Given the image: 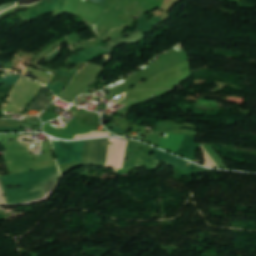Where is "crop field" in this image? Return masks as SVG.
Listing matches in <instances>:
<instances>
[{"mask_svg":"<svg viewBox=\"0 0 256 256\" xmlns=\"http://www.w3.org/2000/svg\"><path fill=\"white\" fill-rule=\"evenodd\" d=\"M20 128H0V132H19Z\"/></svg>","mask_w":256,"mask_h":256,"instance_id":"12","label":"crop field"},{"mask_svg":"<svg viewBox=\"0 0 256 256\" xmlns=\"http://www.w3.org/2000/svg\"><path fill=\"white\" fill-rule=\"evenodd\" d=\"M60 49H58L55 53H53L48 59H46L44 62L50 63L53 61L57 56H59L61 53L59 52Z\"/></svg>","mask_w":256,"mask_h":256,"instance_id":"10","label":"crop field"},{"mask_svg":"<svg viewBox=\"0 0 256 256\" xmlns=\"http://www.w3.org/2000/svg\"><path fill=\"white\" fill-rule=\"evenodd\" d=\"M46 87H48L56 96L61 93L63 88H65L61 82L55 83L53 86L48 84Z\"/></svg>","mask_w":256,"mask_h":256,"instance_id":"7","label":"crop field"},{"mask_svg":"<svg viewBox=\"0 0 256 256\" xmlns=\"http://www.w3.org/2000/svg\"><path fill=\"white\" fill-rule=\"evenodd\" d=\"M13 6H15L14 3H8V4L1 5V6H0V13H1L2 11H4V10L8 9V8L13 7Z\"/></svg>","mask_w":256,"mask_h":256,"instance_id":"14","label":"crop field"},{"mask_svg":"<svg viewBox=\"0 0 256 256\" xmlns=\"http://www.w3.org/2000/svg\"><path fill=\"white\" fill-rule=\"evenodd\" d=\"M10 90H11L10 86H7V85L1 86V83H0V101L1 102H3V100L5 99L7 94L10 92Z\"/></svg>","mask_w":256,"mask_h":256,"instance_id":"8","label":"crop field"},{"mask_svg":"<svg viewBox=\"0 0 256 256\" xmlns=\"http://www.w3.org/2000/svg\"><path fill=\"white\" fill-rule=\"evenodd\" d=\"M108 140L109 139H97V140H88L85 141L84 150L82 142H64L63 144L60 142H53L54 150L58 159V164H64L71 161H78L81 163L82 158V150H83V158L82 163L91 164V165H105L107 148H108ZM127 144L126 153L132 152L134 156H130L128 162L124 159L123 169H130L132 167L138 166H149V167H157L159 161L167 163L171 166H174L184 172L187 173H198V172H208L212 170H205L203 168L193 171L194 164H191L189 167L185 166L189 162L179 159L177 157L171 156L154 148L153 151L156 152V157L159 161L152 159L153 157H149V151H135L132 149L133 146Z\"/></svg>","mask_w":256,"mask_h":256,"instance_id":"1","label":"crop field"},{"mask_svg":"<svg viewBox=\"0 0 256 256\" xmlns=\"http://www.w3.org/2000/svg\"><path fill=\"white\" fill-rule=\"evenodd\" d=\"M163 123H167V124H169V125H172L171 131H169V132H177L178 129L180 128V127H177V124H176V123H173V122L167 121V122H163ZM169 129H170V128H169Z\"/></svg>","mask_w":256,"mask_h":256,"instance_id":"13","label":"crop field"},{"mask_svg":"<svg viewBox=\"0 0 256 256\" xmlns=\"http://www.w3.org/2000/svg\"><path fill=\"white\" fill-rule=\"evenodd\" d=\"M161 21H163L161 18L157 17L154 18L152 20H150L149 22L146 20V16H143L142 18H140L138 20V29H144L142 32L143 34L148 33L153 27H155L158 23H160ZM142 32H140L139 30H136L132 33L133 36L129 37V38H125L123 39V37L131 35L130 33H125L121 36H119L117 39L110 41L107 43L106 47H101L104 50H106L107 52L111 53L114 51V49L121 45V44H134L135 42H137L138 40H140L141 38H143V34ZM100 47L96 46V47H92L89 48L85 51H83L84 53L82 54L81 52L78 53L79 56H72L71 59L72 61H67L71 64H75L76 62H87L89 60H92L94 58H97L99 56L108 54L106 51H104L103 49H101Z\"/></svg>","mask_w":256,"mask_h":256,"instance_id":"3","label":"crop field"},{"mask_svg":"<svg viewBox=\"0 0 256 256\" xmlns=\"http://www.w3.org/2000/svg\"><path fill=\"white\" fill-rule=\"evenodd\" d=\"M59 0H43L33 10L21 12L20 15L27 22L44 14L55 13Z\"/></svg>","mask_w":256,"mask_h":256,"instance_id":"5","label":"crop field"},{"mask_svg":"<svg viewBox=\"0 0 256 256\" xmlns=\"http://www.w3.org/2000/svg\"><path fill=\"white\" fill-rule=\"evenodd\" d=\"M46 90L47 89L44 88V90L39 94V96L32 103V105L29 109L38 110V111H40L41 109L44 110L53 101L50 96L48 98H46L47 94H45V95L42 94Z\"/></svg>","mask_w":256,"mask_h":256,"instance_id":"6","label":"crop field"},{"mask_svg":"<svg viewBox=\"0 0 256 256\" xmlns=\"http://www.w3.org/2000/svg\"><path fill=\"white\" fill-rule=\"evenodd\" d=\"M201 145L197 146L195 144V137L186 135L177 154L183 157L193 159L197 161L195 157L196 151L200 148ZM202 150L204 151V158L206 159L205 166L211 168H219L212 157L208 154V152L201 146Z\"/></svg>","mask_w":256,"mask_h":256,"instance_id":"4","label":"crop field"},{"mask_svg":"<svg viewBox=\"0 0 256 256\" xmlns=\"http://www.w3.org/2000/svg\"><path fill=\"white\" fill-rule=\"evenodd\" d=\"M18 8H21V7L16 6V7L12 8V9H10V10L4 12V13H1V14H0V20H1L2 18H4V17L10 15V14L17 13V12H15L14 10H16V9H18Z\"/></svg>","mask_w":256,"mask_h":256,"instance_id":"9","label":"crop field"},{"mask_svg":"<svg viewBox=\"0 0 256 256\" xmlns=\"http://www.w3.org/2000/svg\"><path fill=\"white\" fill-rule=\"evenodd\" d=\"M3 196H4V193H3V190L0 186V205L8 206L7 202H6V199Z\"/></svg>","mask_w":256,"mask_h":256,"instance_id":"11","label":"crop field"},{"mask_svg":"<svg viewBox=\"0 0 256 256\" xmlns=\"http://www.w3.org/2000/svg\"><path fill=\"white\" fill-rule=\"evenodd\" d=\"M76 73H77V70H74V69H72L70 74L57 71V74H61V75L69 76V77H71L72 75L75 76Z\"/></svg>","mask_w":256,"mask_h":256,"instance_id":"15","label":"crop field"},{"mask_svg":"<svg viewBox=\"0 0 256 256\" xmlns=\"http://www.w3.org/2000/svg\"><path fill=\"white\" fill-rule=\"evenodd\" d=\"M61 174L57 167L13 176H2L0 182L9 206L46 200L55 190ZM14 189L9 190L8 186ZM15 185L21 188L15 189Z\"/></svg>","mask_w":256,"mask_h":256,"instance_id":"2","label":"crop field"}]
</instances>
